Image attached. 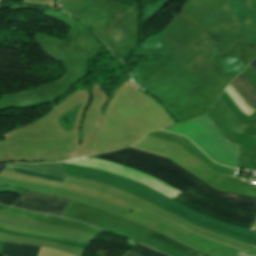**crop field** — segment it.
Listing matches in <instances>:
<instances>
[{
  "mask_svg": "<svg viewBox=\"0 0 256 256\" xmlns=\"http://www.w3.org/2000/svg\"><path fill=\"white\" fill-rule=\"evenodd\" d=\"M0 213L18 217V218L40 221V222H43L45 218L48 216L44 214H38V213H33L29 211L12 208V207L1 205V204H0Z\"/></svg>",
  "mask_w": 256,
  "mask_h": 256,
  "instance_id": "obj_7",
  "label": "crop field"
},
{
  "mask_svg": "<svg viewBox=\"0 0 256 256\" xmlns=\"http://www.w3.org/2000/svg\"><path fill=\"white\" fill-rule=\"evenodd\" d=\"M9 165L42 169V170H47V171H51V172H55V173H59V174L65 175V170H64L63 166L59 162H55V163H41V164L13 163V164H9Z\"/></svg>",
  "mask_w": 256,
  "mask_h": 256,
  "instance_id": "obj_9",
  "label": "crop field"
},
{
  "mask_svg": "<svg viewBox=\"0 0 256 256\" xmlns=\"http://www.w3.org/2000/svg\"><path fill=\"white\" fill-rule=\"evenodd\" d=\"M69 202V199L24 191L21 200L15 201L11 206L34 212L50 213L61 217Z\"/></svg>",
  "mask_w": 256,
  "mask_h": 256,
  "instance_id": "obj_3",
  "label": "crop field"
},
{
  "mask_svg": "<svg viewBox=\"0 0 256 256\" xmlns=\"http://www.w3.org/2000/svg\"><path fill=\"white\" fill-rule=\"evenodd\" d=\"M154 154V153H153ZM158 155V154H157Z\"/></svg>",
  "mask_w": 256,
  "mask_h": 256,
  "instance_id": "obj_14",
  "label": "crop field"
},
{
  "mask_svg": "<svg viewBox=\"0 0 256 256\" xmlns=\"http://www.w3.org/2000/svg\"><path fill=\"white\" fill-rule=\"evenodd\" d=\"M125 256H137V255H135V254H133V253L128 252V253H126V254H125Z\"/></svg>",
  "mask_w": 256,
  "mask_h": 256,
  "instance_id": "obj_12",
  "label": "crop field"
},
{
  "mask_svg": "<svg viewBox=\"0 0 256 256\" xmlns=\"http://www.w3.org/2000/svg\"><path fill=\"white\" fill-rule=\"evenodd\" d=\"M256 71V59L249 64Z\"/></svg>",
  "mask_w": 256,
  "mask_h": 256,
  "instance_id": "obj_11",
  "label": "crop field"
},
{
  "mask_svg": "<svg viewBox=\"0 0 256 256\" xmlns=\"http://www.w3.org/2000/svg\"><path fill=\"white\" fill-rule=\"evenodd\" d=\"M5 165H0V170L4 167Z\"/></svg>",
  "mask_w": 256,
  "mask_h": 256,
  "instance_id": "obj_13",
  "label": "crop field"
},
{
  "mask_svg": "<svg viewBox=\"0 0 256 256\" xmlns=\"http://www.w3.org/2000/svg\"><path fill=\"white\" fill-rule=\"evenodd\" d=\"M42 247L3 243L2 253L7 256H38Z\"/></svg>",
  "mask_w": 256,
  "mask_h": 256,
  "instance_id": "obj_5",
  "label": "crop field"
},
{
  "mask_svg": "<svg viewBox=\"0 0 256 256\" xmlns=\"http://www.w3.org/2000/svg\"><path fill=\"white\" fill-rule=\"evenodd\" d=\"M130 251L132 252H135L139 255H142V256H166L162 253H159V252H156V251H153L145 246H141V245H138L136 244L134 247H132L130 249Z\"/></svg>",
  "mask_w": 256,
  "mask_h": 256,
  "instance_id": "obj_10",
  "label": "crop field"
},
{
  "mask_svg": "<svg viewBox=\"0 0 256 256\" xmlns=\"http://www.w3.org/2000/svg\"><path fill=\"white\" fill-rule=\"evenodd\" d=\"M230 84L245 103L256 110V92L251 88L244 76L239 74Z\"/></svg>",
  "mask_w": 256,
  "mask_h": 256,
  "instance_id": "obj_4",
  "label": "crop field"
},
{
  "mask_svg": "<svg viewBox=\"0 0 256 256\" xmlns=\"http://www.w3.org/2000/svg\"><path fill=\"white\" fill-rule=\"evenodd\" d=\"M192 122L217 146L227 153L238 163V145L228 143L224 136L219 132L215 125L208 119L207 115L192 120ZM191 121L179 124L174 127H168L164 130L186 135L190 138L205 154L212 160L227 165L229 167L240 168L228 155L210 141Z\"/></svg>",
  "mask_w": 256,
  "mask_h": 256,
  "instance_id": "obj_2",
  "label": "crop field"
},
{
  "mask_svg": "<svg viewBox=\"0 0 256 256\" xmlns=\"http://www.w3.org/2000/svg\"><path fill=\"white\" fill-rule=\"evenodd\" d=\"M90 157L112 161L126 167L141 170L182 192L192 186L221 202L256 212V198L219 192L164 157L130 147ZM93 158L79 157L62 162L113 172L144 183L171 198L182 193L141 171ZM172 199L207 217L232 225L250 229L256 220V213L218 202L192 188Z\"/></svg>",
  "mask_w": 256,
  "mask_h": 256,
  "instance_id": "obj_1",
  "label": "crop field"
},
{
  "mask_svg": "<svg viewBox=\"0 0 256 256\" xmlns=\"http://www.w3.org/2000/svg\"><path fill=\"white\" fill-rule=\"evenodd\" d=\"M4 168L13 170V171H17V172H21V173H25V174H29V175H33V176H37V177H41V178H45V179L62 181V182H64L67 177V176H62V175H58V174H54V173H50V172H46V171L20 168V167L8 166V165H6Z\"/></svg>",
  "mask_w": 256,
  "mask_h": 256,
  "instance_id": "obj_8",
  "label": "crop field"
},
{
  "mask_svg": "<svg viewBox=\"0 0 256 256\" xmlns=\"http://www.w3.org/2000/svg\"><path fill=\"white\" fill-rule=\"evenodd\" d=\"M147 237H149L155 241H158L160 243H163L165 245H168L170 247H173V248H175L187 255H190V256H207V255L197 252V251H195V250H193V249H191L173 239H170L158 232L152 231L150 234L147 235Z\"/></svg>",
  "mask_w": 256,
  "mask_h": 256,
  "instance_id": "obj_6",
  "label": "crop field"
}]
</instances>
